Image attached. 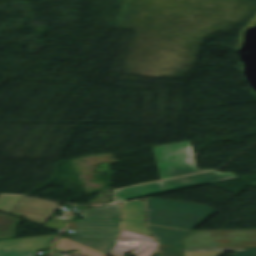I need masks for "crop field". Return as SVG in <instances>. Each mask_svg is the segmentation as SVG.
Returning <instances> with one entry per match:
<instances>
[{
  "label": "crop field",
  "instance_id": "e52e79f7",
  "mask_svg": "<svg viewBox=\"0 0 256 256\" xmlns=\"http://www.w3.org/2000/svg\"><path fill=\"white\" fill-rule=\"evenodd\" d=\"M151 231L160 239L162 243H168L173 245H180L179 239L186 235L188 232L179 231V230H172L166 228H159L149 226Z\"/></svg>",
  "mask_w": 256,
  "mask_h": 256
},
{
  "label": "crop field",
  "instance_id": "34b2d1b8",
  "mask_svg": "<svg viewBox=\"0 0 256 256\" xmlns=\"http://www.w3.org/2000/svg\"><path fill=\"white\" fill-rule=\"evenodd\" d=\"M236 178L232 173H218L216 171L187 176L152 184H147L143 186H138L134 188L124 189L116 191L117 202H122L126 200L142 198L158 193L178 190L190 186L202 185L213 183L222 180H228Z\"/></svg>",
  "mask_w": 256,
  "mask_h": 256
},
{
  "label": "crop field",
  "instance_id": "ac0d7876",
  "mask_svg": "<svg viewBox=\"0 0 256 256\" xmlns=\"http://www.w3.org/2000/svg\"><path fill=\"white\" fill-rule=\"evenodd\" d=\"M149 222L153 225L192 230L206 219L213 209L193 203L169 201L162 199H147ZM212 215V214H211Z\"/></svg>",
  "mask_w": 256,
  "mask_h": 256
},
{
  "label": "crop field",
  "instance_id": "22f410ed",
  "mask_svg": "<svg viewBox=\"0 0 256 256\" xmlns=\"http://www.w3.org/2000/svg\"><path fill=\"white\" fill-rule=\"evenodd\" d=\"M220 250H242V248L185 249V251H220Z\"/></svg>",
  "mask_w": 256,
  "mask_h": 256
},
{
  "label": "crop field",
  "instance_id": "d9b57169",
  "mask_svg": "<svg viewBox=\"0 0 256 256\" xmlns=\"http://www.w3.org/2000/svg\"><path fill=\"white\" fill-rule=\"evenodd\" d=\"M188 150H189V155H190V159H191V164H192L193 167L196 168V165H195V162H194V159H193V154H192V149H191V147L188 148Z\"/></svg>",
  "mask_w": 256,
  "mask_h": 256
},
{
  "label": "crop field",
  "instance_id": "5142ce71",
  "mask_svg": "<svg viewBox=\"0 0 256 256\" xmlns=\"http://www.w3.org/2000/svg\"><path fill=\"white\" fill-rule=\"evenodd\" d=\"M127 240H145V239H140V238H137V239H134V238H123V237H120L118 242H122V241H127ZM145 241H151V240H145ZM151 242H157L156 239L154 241H151Z\"/></svg>",
  "mask_w": 256,
  "mask_h": 256
},
{
  "label": "crop field",
  "instance_id": "dd49c442",
  "mask_svg": "<svg viewBox=\"0 0 256 256\" xmlns=\"http://www.w3.org/2000/svg\"><path fill=\"white\" fill-rule=\"evenodd\" d=\"M156 245L157 244L145 241H128L118 243L110 255L123 256L128 251L136 249L131 254H135L137 256H150L156 250Z\"/></svg>",
  "mask_w": 256,
  "mask_h": 256
},
{
  "label": "crop field",
  "instance_id": "cbeb9de0",
  "mask_svg": "<svg viewBox=\"0 0 256 256\" xmlns=\"http://www.w3.org/2000/svg\"><path fill=\"white\" fill-rule=\"evenodd\" d=\"M230 256H256V249H250V252H235Z\"/></svg>",
  "mask_w": 256,
  "mask_h": 256
},
{
  "label": "crop field",
  "instance_id": "d1516ede",
  "mask_svg": "<svg viewBox=\"0 0 256 256\" xmlns=\"http://www.w3.org/2000/svg\"><path fill=\"white\" fill-rule=\"evenodd\" d=\"M120 236L134 237V238L140 237V238H146V239H151V240L154 239L152 237H148V236H144V235H140V234H134V233H131V232H128V231H125V230H121V235Z\"/></svg>",
  "mask_w": 256,
  "mask_h": 256
},
{
  "label": "crop field",
  "instance_id": "3316defc",
  "mask_svg": "<svg viewBox=\"0 0 256 256\" xmlns=\"http://www.w3.org/2000/svg\"><path fill=\"white\" fill-rule=\"evenodd\" d=\"M21 197L0 196V211L9 214Z\"/></svg>",
  "mask_w": 256,
  "mask_h": 256
},
{
  "label": "crop field",
  "instance_id": "412701ff",
  "mask_svg": "<svg viewBox=\"0 0 256 256\" xmlns=\"http://www.w3.org/2000/svg\"><path fill=\"white\" fill-rule=\"evenodd\" d=\"M189 146L190 141L154 147L162 180L205 171L191 167Z\"/></svg>",
  "mask_w": 256,
  "mask_h": 256
},
{
  "label": "crop field",
  "instance_id": "d8731c3e",
  "mask_svg": "<svg viewBox=\"0 0 256 256\" xmlns=\"http://www.w3.org/2000/svg\"><path fill=\"white\" fill-rule=\"evenodd\" d=\"M20 223L17 218L0 214V240L14 238Z\"/></svg>",
  "mask_w": 256,
  "mask_h": 256
},
{
  "label": "crop field",
  "instance_id": "28ad6ade",
  "mask_svg": "<svg viewBox=\"0 0 256 256\" xmlns=\"http://www.w3.org/2000/svg\"><path fill=\"white\" fill-rule=\"evenodd\" d=\"M186 256H216L224 255V252H185Z\"/></svg>",
  "mask_w": 256,
  "mask_h": 256
},
{
  "label": "crop field",
  "instance_id": "8a807250",
  "mask_svg": "<svg viewBox=\"0 0 256 256\" xmlns=\"http://www.w3.org/2000/svg\"><path fill=\"white\" fill-rule=\"evenodd\" d=\"M85 220L70 221L68 228L77 229L76 234H66L72 240L92 249L111 253L119 238L118 230L122 211L120 205L83 211Z\"/></svg>",
  "mask_w": 256,
  "mask_h": 256
},
{
  "label": "crop field",
  "instance_id": "5a996713",
  "mask_svg": "<svg viewBox=\"0 0 256 256\" xmlns=\"http://www.w3.org/2000/svg\"><path fill=\"white\" fill-rule=\"evenodd\" d=\"M158 251H159V254H163V256H184L182 248L179 246L160 243V247ZM155 254L156 252H154L151 256Z\"/></svg>",
  "mask_w": 256,
  "mask_h": 256
},
{
  "label": "crop field",
  "instance_id": "f4fd0767",
  "mask_svg": "<svg viewBox=\"0 0 256 256\" xmlns=\"http://www.w3.org/2000/svg\"><path fill=\"white\" fill-rule=\"evenodd\" d=\"M56 204L41 199L23 197L11 215L40 224L53 213Z\"/></svg>",
  "mask_w": 256,
  "mask_h": 256
}]
</instances>
